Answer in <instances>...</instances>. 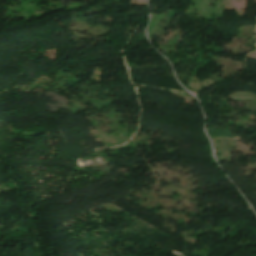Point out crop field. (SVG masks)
<instances>
[{
  "instance_id": "crop-field-1",
  "label": "crop field",
  "mask_w": 256,
  "mask_h": 256,
  "mask_svg": "<svg viewBox=\"0 0 256 256\" xmlns=\"http://www.w3.org/2000/svg\"><path fill=\"white\" fill-rule=\"evenodd\" d=\"M131 6H147L145 0H130Z\"/></svg>"
}]
</instances>
